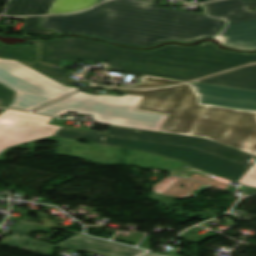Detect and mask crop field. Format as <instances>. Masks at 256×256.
Instances as JSON below:
<instances>
[{"label": "crop field", "instance_id": "crop-field-1", "mask_svg": "<svg viewBox=\"0 0 256 256\" xmlns=\"http://www.w3.org/2000/svg\"><path fill=\"white\" fill-rule=\"evenodd\" d=\"M158 0H111L87 12L42 17L39 27L80 33L123 44L151 46L165 40L191 42L221 36L228 42L256 45V0L205 3L211 18L157 7ZM203 5V4H202Z\"/></svg>", "mask_w": 256, "mask_h": 256}, {"label": "crop field", "instance_id": "crop-field-2", "mask_svg": "<svg viewBox=\"0 0 256 256\" xmlns=\"http://www.w3.org/2000/svg\"><path fill=\"white\" fill-rule=\"evenodd\" d=\"M50 120L51 117L6 109L0 115V152L8 146L56 135L144 150L234 182L256 159V156L201 138L120 126H110L107 133L82 131L47 124Z\"/></svg>", "mask_w": 256, "mask_h": 256}, {"label": "crop field", "instance_id": "crop-field-3", "mask_svg": "<svg viewBox=\"0 0 256 256\" xmlns=\"http://www.w3.org/2000/svg\"><path fill=\"white\" fill-rule=\"evenodd\" d=\"M59 58L109 61L115 70L186 81L256 62V54L226 52L210 42L196 47L167 45L147 52L75 38L40 44V62L58 66Z\"/></svg>", "mask_w": 256, "mask_h": 256}, {"label": "crop field", "instance_id": "crop-field-4", "mask_svg": "<svg viewBox=\"0 0 256 256\" xmlns=\"http://www.w3.org/2000/svg\"><path fill=\"white\" fill-rule=\"evenodd\" d=\"M92 87L143 96L135 110L169 115L162 132L201 137L256 155V113L200 105L188 84L149 90Z\"/></svg>", "mask_w": 256, "mask_h": 256}, {"label": "crop field", "instance_id": "crop-field-5", "mask_svg": "<svg viewBox=\"0 0 256 256\" xmlns=\"http://www.w3.org/2000/svg\"><path fill=\"white\" fill-rule=\"evenodd\" d=\"M141 98L129 94L91 95L80 91L36 112L56 117L67 112L89 114L99 123L159 131L167 116L134 111Z\"/></svg>", "mask_w": 256, "mask_h": 256}, {"label": "crop field", "instance_id": "crop-field-6", "mask_svg": "<svg viewBox=\"0 0 256 256\" xmlns=\"http://www.w3.org/2000/svg\"><path fill=\"white\" fill-rule=\"evenodd\" d=\"M0 83L16 91L10 107L38 108L79 88L66 87L15 61L0 59Z\"/></svg>", "mask_w": 256, "mask_h": 256}, {"label": "crop field", "instance_id": "crop-field-7", "mask_svg": "<svg viewBox=\"0 0 256 256\" xmlns=\"http://www.w3.org/2000/svg\"><path fill=\"white\" fill-rule=\"evenodd\" d=\"M201 104L256 111V91L189 83Z\"/></svg>", "mask_w": 256, "mask_h": 256}, {"label": "crop field", "instance_id": "crop-field-8", "mask_svg": "<svg viewBox=\"0 0 256 256\" xmlns=\"http://www.w3.org/2000/svg\"><path fill=\"white\" fill-rule=\"evenodd\" d=\"M0 58L16 59L64 85H73L64 82L65 76L69 73L63 68L55 69L54 66L43 65L38 62V44L33 46H7L0 43Z\"/></svg>", "mask_w": 256, "mask_h": 256}, {"label": "crop field", "instance_id": "crop-field-9", "mask_svg": "<svg viewBox=\"0 0 256 256\" xmlns=\"http://www.w3.org/2000/svg\"><path fill=\"white\" fill-rule=\"evenodd\" d=\"M58 245L76 250L91 251L115 256H136L145 252L80 235H76L59 243Z\"/></svg>", "mask_w": 256, "mask_h": 256}, {"label": "crop field", "instance_id": "crop-field-10", "mask_svg": "<svg viewBox=\"0 0 256 256\" xmlns=\"http://www.w3.org/2000/svg\"><path fill=\"white\" fill-rule=\"evenodd\" d=\"M193 82L256 90V65H249Z\"/></svg>", "mask_w": 256, "mask_h": 256}, {"label": "crop field", "instance_id": "crop-field-11", "mask_svg": "<svg viewBox=\"0 0 256 256\" xmlns=\"http://www.w3.org/2000/svg\"><path fill=\"white\" fill-rule=\"evenodd\" d=\"M54 0H10L5 15H38L48 12Z\"/></svg>", "mask_w": 256, "mask_h": 256}, {"label": "crop field", "instance_id": "crop-field-12", "mask_svg": "<svg viewBox=\"0 0 256 256\" xmlns=\"http://www.w3.org/2000/svg\"><path fill=\"white\" fill-rule=\"evenodd\" d=\"M3 244L22 248V249H27L35 252L46 253L50 255L53 254V251L55 249V246L21 238L11 234H9L7 240Z\"/></svg>", "mask_w": 256, "mask_h": 256}, {"label": "crop field", "instance_id": "crop-field-13", "mask_svg": "<svg viewBox=\"0 0 256 256\" xmlns=\"http://www.w3.org/2000/svg\"><path fill=\"white\" fill-rule=\"evenodd\" d=\"M97 1L98 0H55L48 14L79 11L95 5Z\"/></svg>", "mask_w": 256, "mask_h": 256}, {"label": "crop field", "instance_id": "crop-field-14", "mask_svg": "<svg viewBox=\"0 0 256 256\" xmlns=\"http://www.w3.org/2000/svg\"><path fill=\"white\" fill-rule=\"evenodd\" d=\"M185 81L143 76L142 82L136 86L121 85L127 87H157L162 85L178 84Z\"/></svg>", "mask_w": 256, "mask_h": 256}, {"label": "crop field", "instance_id": "crop-field-15", "mask_svg": "<svg viewBox=\"0 0 256 256\" xmlns=\"http://www.w3.org/2000/svg\"><path fill=\"white\" fill-rule=\"evenodd\" d=\"M40 20V17H34V18H26L25 24H24V32L25 34H53V32L49 30H43L37 27V24Z\"/></svg>", "mask_w": 256, "mask_h": 256}, {"label": "crop field", "instance_id": "crop-field-16", "mask_svg": "<svg viewBox=\"0 0 256 256\" xmlns=\"http://www.w3.org/2000/svg\"><path fill=\"white\" fill-rule=\"evenodd\" d=\"M32 230H39L44 232H50V229L34 226L26 223L19 222L16 228L11 232L12 234L28 238Z\"/></svg>", "mask_w": 256, "mask_h": 256}, {"label": "crop field", "instance_id": "crop-field-17", "mask_svg": "<svg viewBox=\"0 0 256 256\" xmlns=\"http://www.w3.org/2000/svg\"><path fill=\"white\" fill-rule=\"evenodd\" d=\"M238 183L247 185L250 187H256V162L247 171V173L238 181Z\"/></svg>", "mask_w": 256, "mask_h": 256}, {"label": "crop field", "instance_id": "crop-field-18", "mask_svg": "<svg viewBox=\"0 0 256 256\" xmlns=\"http://www.w3.org/2000/svg\"><path fill=\"white\" fill-rule=\"evenodd\" d=\"M14 92L0 85V106H6L11 103Z\"/></svg>", "mask_w": 256, "mask_h": 256}, {"label": "crop field", "instance_id": "crop-field-19", "mask_svg": "<svg viewBox=\"0 0 256 256\" xmlns=\"http://www.w3.org/2000/svg\"><path fill=\"white\" fill-rule=\"evenodd\" d=\"M225 46L229 47H234L238 49H256V46L252 45H242V44H232V43H227L225 38L217 37Z\"/></svg>", "mask_w": 256, "mask_h": 256}, {"label": "crop field", "instance_id": "crop-field-20", "mask_svg": "<svg viewBox=\"0 0 256 256\" xmlns=\"http://www.w3.org/2000/svg\"><path fill=\"white\" fill-rule=\"evenodd\" d=\"M143 256H167V255H160V254L148 253V254L143 255Z\"/></svg>", "mask_w": 256, "mask_h": 256}, {"label": "crop field", "instance_id": "crop-field-21", "mask_svg": "<svg viewBox=\"0 0 256 256\" xmlns=\"http://www.w3.org/2000/svg\"><path fill=\"white\" fill-rule=\"evenodd\" d=\"M2 110H4V109H0V112H1Z\"/></svg>", "mask_w": 256, "mask_h": 256}, {"label": "crop field", "instance_id": "crop-field-22", "mask_svg": "<svg viewBox=\"0 0 256 256\" xmlns=\"http://www.w3.org/2000/svg\"><path fill=\"white\" fill-rule=\"evenodd\" d=\"M100 1H102V0H99L98 2H100Z\"/></svg>", "mask_w": 256, "mask_h": 256}, {"label": "crop field", "instance_id": "crop-field-23", "mask_svg": "<svg viewBox=\"0 0 256 256\" xmlns=\"http://www.w3.org/2000/svg\"><path fill=\"white\" fill-rule=\"evenodd\" d=\"M205 1H208V0H205Z\"/></svg>", "mask_w": 256, "mask_h": 256}]
</instances>
